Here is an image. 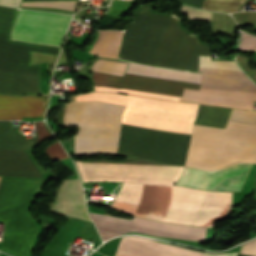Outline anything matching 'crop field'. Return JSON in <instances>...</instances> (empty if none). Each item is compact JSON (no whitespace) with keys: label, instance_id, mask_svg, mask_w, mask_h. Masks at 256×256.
<instances>
[{"label":"crop field","instance_id":"8a807250","mask_svg":"<svg viewBox=\"0 0 256 256\" xmlns=\"http://www.w3.org/2000/svg\"><path fill=\"white\" fill-rule=\"evenodd\" d=\"M123 109L98 101L67 102L63 125L80 127L75 135V153H117ZM190 136L121 124L118 155L184 166Z\"/></svg>","mask_w":256,"mask_h":256},{"label":"crop field","instance_id":"ac0d7876","mask_svg":"<svg viewBox=\"0 0 256 256\" xmlns=\"http://www.w3.org/2000/svg\"><path fill=\"white\" fill-rule=\"evenodd\" d=\"M141 7L124 34L118 57L158 67L197 71L198 55L211 56V47L179 28V20Z\"/></svg>","mask_w":256,"mask_h":256},{"label":"crop field","instance_id":"34b2d1b8","mask_svg":"<svg viewBox=\"0 0 256 256\" xmlns=\"http://www.w3.org/2000/svg\"><path fill=\"white\" fill-rule=\"evenodd\" d=\"M234 162L256 163V125L228 122L225 129L194 125L185 166L213 171Z\"/></svg>","mask_w":256,"mask_h":256},{"label":"crop field","instance_id":"412701ff","mask_svg":"<svg viewBox=\"0 0 256 256\" xmlns=\"http://www.w3.org/2000/svg\"><path fill=\"white\" fill-rule=\"evenodd\" d=\"M78 101L98 100L126 106L121 123L157 130L191 134L198 109L197 104L157 100L139 96L90 93Z\"/></svg>","mask_w":256,"mask_h":256},{"label":"crop field","instance_id":"f4fd0767","mask_svg":"<svg viewBox=\"0 0 256 256\" xmlns=\"http://www.w3.org/2000/svg\"><path fill=\"white\" fill-rule=\"evenodd\" d=\"M198 72H203L200 88L256 95V86L242 72L204 68H199ZM204 89H184L181 101L239 109H253L252 101H256V96L253 95Z\"/></svg>","mask_w":256,"mask_h":256},{"label":"crop field","instance_id":"dd49c442","mask_svg":"<svg viewBox=\"0 0 256 256\" xmlns=\"http://www.w3.org/2000/svg\"><path fill=\"white\" fill-rule=\"evenodd\" d=\"M94 90L142 95L180 101L183 88L199 90L197 84L125 74L124 78L93 72Z\"/></svg>","mask_w":256,"mask_h":256},{"label":"crop field","instance_id":"e52e79f7","mask_svg":"<svg viewBox=\"0 0 256 256\" xmlns=\"http://www.w3.org/2000/svg\"><path fill=\"white\" fill-rule=\"evenodd\" d=\"M71 15L19 10L12 30L64 37ZM12 31V40L60 46L63 38Z\"/></svg>","mask_w":256,"mask_h":256},{"label":"crop field","instance_id":"d8731c3e","mask_svg":"<svg viewBox=\"0 0 256 256\" xmlns=\"http://www.w3.org/2000/svg\"><path fill=\"white\" fill-rule=\"evenodd\" d=\"M251 165L236 163L214 172L186 167L177 183L198 189L238 192Z\"/></svg>","mask_w":256,"mask_h":256},{"label":"crop field","instance_id":"5a996713","mask_svg":"<svg viewBox=\"0 0 256 256\" xmlns=\"http://www.w3.org/2000/svg\"><path fill=\"white\" fill-rule=\"evenodd\" d=\"M202 253L137 236L123 237L114 256H201Z\"/></svg>","mask_w":256,"mask_h":256},{"label":"crop field","instance_id":"3316defc","mask_svg":"<svg viewBox=\"0 0 256 256\" xmlns=\"http://www.w3.org/2000/svg\"><path fill=\"white\" fill-rule=\"evenodd\" d=\"M47 96L12 97L0 95V120L40 117L46 110Z\"/></svg>","mask_w":256,"mask_h":256},{"label":"crop field","instance_id":"28ad6ade","mask_svg":"<svg viewBox=\"0 0 256 256\" xmlns=\"http://www.w3.org/2000/svg\"><path fill=\"white\" fill-rule=\"evenodd\" d=\"M51 212L91 222L86 213L82 188L78 179L64 181Z\"/></svg>","mask_w":256,"mask_h":256},{"label":"crop field","instance_id":"d1516ede","mask_svg":"<svg viewBox=\"0 0 256 256\" xmlns=\"http://www.w3.org/2000/svg\"><path fill=\"white\" fill-rule=\"evenodd\" d=\"M231 109L204 107L199 105L195 124L224 128ZM228 121L256 124V111L232 109Z\"/></svg>","mask_w":256,"mask_h":256},{"label":"crop field","instance_id":"22f410ed","mask_svg":"<svg viewBox=\"0 0 256 256\" xmlns=\"http://www.w3.org/2000/svg\"><path fill=\"white\" fill-rule=\"evenodd\" d=\"M0 175L41 177L24 151L0 150Z\"/></svg>","mask_w":256,"mask_h":256},{"label":"crop field","instance_id":"cbeb9de0","mask_svg":"<svg viewBox=\"0 0 256 256\" xmlns=\"http://www.w3.org/2000/svg\"><path fill=\"white\" fill-rule=\"evenodd\" d=\"M34 124L37 138H25L10 130V121H0V149L29 150L39 140L51 136L43 121Z\"/></svg>","mask_w":256,"mask_h":256},{"label":"crop field","instance_id":"5142ce71","mask_svg":"<svg viewBox=\"0 0 256 256\" xmlns=\"http://www.w3.org/2000/svg\"><path fill=\"white\" fill-rule=\"evenodd\" d=\"M125 73L200 84L202 74L129 63Z\"/></svg>","mask_w":256,"mask_h":256},{"label":"crop field","instance_id":"d9b57169","mask_svg":"<svg viewBox=\"0 0 256 256\" xmlns=\"http://www.w3.org/2000/svg\"><path fill=\"white\" fill-rule=\"evenodd\" d=\"M121 38L122 32L120 31H101L91 53L97 56L117 58Z\"/></svg>","mask_w":256,"mask_h":256},{"label":"crop field","instance_id":"733c2abd","mask_svg":"<svg viewBox=\"0 0 256 256\" xmlns=\"http://www.w3.org/2000/svg\"><path fill=\"white\" fill-rule=\"evenodd\" d=\"M245 0H204L202 9L235 12L238 11L239 3Z\"/></svg>","mask_w":256,"mask_h":256},{"label":"crop field","instance_id":"4a817a6b","mask_svg":"<svg viewBox=\"0 0 256 256\" xmlns=\"http://www.w3.org/2000/svg\"><path fill=\"white\" fill-rule=\"evenodd\" d=\"M199 67L220 68L226 70L240 71V69L236 66L234 61H210V57L204 56H199Z\"/></svg>","mask_w":256,"mask_h":256},{"label":"crop field","instance_id":"bc2a9ffb","mask_svg":"<svg viewBox=\"0 0 256 256\" xmlns=\"http://www.w3.org/2000/svg\"><path fill=\"white\" fill-rule=\"evenodd\" d=\"M77 1H51V2H31L22 3L21 6H41V7H54L60 9L74 10Z\"/></svg>","mask_w":256,"mask_h":256},{"label":"crop field","instance_id":"214f88e0","mask_svg":"<svg viewBox=\"0 0 256 256\" xmlns=\"http://www.w3.org/2000/svg\"><path fill=\"white\" fill-rule=\"evenodd\" d=\"M45 154L50 160H57L69 157L58 142H55L52 145L48 146Z\"/></svg>","mask_w":256,"mask_h":256},{"label":"crop field","instance_id":"92a150f3","mask_svg":"<svg viewBox=\"0 0 256 256\" xmlns=\"http://www.w3.org/2000/svg\"><path fill=\"white\" fill-rule=\"evenodd\" d=\"M181 12L188 14L191 19L208 21V22H210L211 15H212V13L202 12V11H198V10H194L186 7H182Z\"/></svg>","mask_w":256,"mask_h":256},{"label":"crop field","instance_id":"dafd665d","mask_svg":"<svg viewBox=\"0 0 256 256\" xmlns=\"http://www.w3.org/2000/svg\"><path fill=\"white\" fill-rule=\"evenodd\" d=\"M237 62L249 78L256 83V69H249V58L244 55H238Z\"/></svg>","mask_w":256,"mask_h":256},{"label":"crop field","instance_id":"00972430","mask_svg":"<svg viewBox=\"0 0 256 256\" xmlns=\"http://www.w3.org/2000/svg\"><path fill=\"white\" fill-rule=\"evenodd\" d=\"M239 49L256 51V38L242 33Z\"/></svg>","mask_w":256,"mask_h":256},{"label":"crop field","instance_id":"a9b5d70f","mask_svg":"<svg viewBox=\"0 0 256 256\" xmlns=\"http://www.w3.org/2000/svg\"><path fill=\"white\" fill-rule=\"evenodd\" d=\"M241 253L256 256V240L243 245Z\"/></svg>","mask_w":256,"mask_h":256},{"label":"crop field","instance_id":"4177f3b9","mask_svg":"<svg viewBox=\"0 0 256 256\" xmlns=\"http://www.w3.org/2000/svg\"><path fill=\"white\" fill-rule=\"evenodd\" d=\"M21 0H0V5L18 8Z\"/></svg>","mask_w":256,"mask_h":256},{"label":"crop field","instance_id":"730fd06b","mask_svg":"<svg viewBox=\"0 0 256 256\" xmlns=\"http://www.w3.org/2000/svg\"><path fill=\"white\" fill-rule=\"evenodd\" d=\"M237 253H230V254H206L203 253L202 256H236Z\"/></svg>","mask_w":256,"mask_h":256},{"label":"crop field","instance_id":"eef30255","mask_svg":"<svg viewBox=\"0 0 256 256\" xmlns=\"http://www.w3.org/2000/svg\"><path fill=\"white\" fill-rule=\"evenodd\" d=\"M237 256H248V255L238 254Z\"/></svg>","mask_w":256,"mask_h":256},{"label":"crop field","instance_id":"ae1a2a85","mask_svg":"<svg viewBox=\"0 0 256 256\" xmlns=\"http://www.w3.org/2000/svg\"><path fill=\"white\" fill-rule=\"evenodd\" d=\"M245 32H248L249 33V31L248 30H245ZM251 34V33H250ZM254 35V34H253ZM256 36V35H255Z\"/></svg>","mask_w":256,"mask_h":256}]
</instances>
